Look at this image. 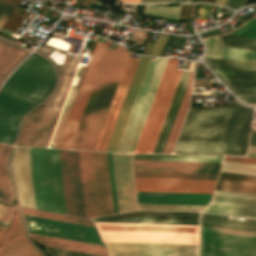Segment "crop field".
<instances>
[{
  "label": "crop field",
  "instance_id": "obj_43",
  "mask_svg": "<svg viewBox=\"0 0 256 256\" xmlns=\"http://www.w3.org/2000/svg\"><path fill=\"white\" fill-rule=\"evenodd\" d=\"M247 157L256 158V147L249 146ZM246 158V157H225L224 161L228 162H237V163H246V164H255L256 159Z\"/></svg>",
  "mask_w": 256,
  "mask_h": 256
},
{
  "label": "crop field",
  "instance_id": "obj_33",
  "mask_svg": "<svg viewBox=\"0 0 256 256\" xmlns=\"http://www.w3.org/2000/svg\"><path fill=\"white\" fill-rule=\"evenodd\" d=\"M29 242L0 246V256H38Z\"/></svg>",
  "mask_w": 256,
  "mask_h": 256
},
{
  "label": "crop field",
  "instance_id": "obj_9",
  "mask_svg": "<svg viewBox=\"0 0 256 256\" xmlns=\"http://www.w3.org/2000/svg\"><path fill=\"white\" fill-rule=\"evenodd\" d=\"M96 41L101 42L102 39L97 38ZM99 42H96L93 48L92 54L90 56L89 62L84 72L82 81L80 83L79 89L77 91L76 97L71 107L69 116L67 118V121L64 126L63 132L61 134L60 140L58 142L57 148H69L72 142L74 133L79 123L81 114L83 112L85 103L90 93L96 73L98 71L103 54L108 44V43L104 44Z\"/></svg>",
  "mask_w": 256,
  "mask_h": 256
},
{
  "label": "crop field",
  "instance_id": "obj_26",
  "mask_svg": "<svg viewBox=\"0 0 256 256\" xmlns=\"http://www.w3.org/2000/svg\"><path fill=\"white\" fill-rule=\"evenodd\" d=\"M32 238L48 247L107 256L105 247L30 233Z\"/></svg>",
  "mask_w": 256,
  "mask_h": 256
},
{
  "label": "crop field",
  "instance_id": "obj_4",
  "mask_svg": "<svg viewBox=\"0 0 256 256\" xmlns=\"http://www.w3.org/2000/svg\"><path fill=\"white\" fill-rule=\"evenodd\" d=\"M29 152L36 209L66 214L58 150Z\"/></svg>",
  "mask_w": 256,
  "mask_h": 256
},
{
  "label": "crop field",
  "instance_id": "obj_34",
  "mask_svg": "<svg viewBox=\"0 0 256 256\" xmlns=\"http://www.w3.org/2000/svg\"><path fill=\"white\" fill-rule=\"evenodd\" d=\"M25 241H27V239L24 236V232L19 221L18 213L17 211H15V214L8 227V230L0 245Z\"/></svg>",
  "mask_w": 256,
  "mask_h": 256
},
{
  "label": "crop field",
  "instance_id": "obj_42",
  "mask_svg": "<svg viewBox=\"0 0 256 256\" xmlns=\"http://www.w3.org/2000/svg\"><path fill=\"white\" fill-rule=\"evenodd\" d=\"M203 41L207 46L205 57L221 59L218 38L214 37Z\"/></svg>",
  "mask_w": 256,
  "mask_h": 256
},
{
  "label": "crop field",
  "instance_id": "obj_51",
  "mask_svg": "<svg viewBox=\"0 0 256 256\" xmlns=\"http://www.w3.org/2000/svg\"><path fill=\"white\" fill-rule=\"evenodd\" d=\"M170 0H140L139 3H165L168 4Z\"/></svg>",
  "mask_w": 256,
  "mask_h": 256
},
{
  "label": "crop field",
  "instance_id": "obj_30",
  "mask_svg": "<svg viewBox=\"0 0 256 256\" xmlns=\"http://www.w3.org/2000/svg\"><path fill=\"white\" fill-rule=\"evenodd\" d=\"M193 72H189L187 89L185 91L184 97L182 99L181 105L179 107L178 113L176 115L175 121L171 128L170 134L168 136L167 142L165 144L164 150L162 153H171L174 143L176 141L177 135L179 133L180 127L182 125L183 119L185 117L186 111L189 105L191 83H192Z\"/></svg>",
  "mask_w": 256,
  "mask_h": 256
},
{
  "label": "crop field",
  "instance_id": "obj_53",
  "mask_svg": "<svg viewBox=\"0 0 256 256\" xmlns=\"http://www.w3.org/2000/svg\"><path fill=\"white\" fill-rule=\"evenodd\" d=\"M249 144L256 145V133H252Z\"/></svg>",
  "mask_w": 256,
  "mask_h": 256
},
{
  "label": "crop field",
  "instance_id": "obj_49",
  "mask_svg": "<svg viewBox=\"0 0 256 256\" xmlns=\"http://www.w3.org/2000/svg\"><path fill=\"white\" fill-rule=\"evenodd\" d=\"M210 4H202L199 10V15L201 16L199 19H206L208 17L209 11L211 9Z\"/></svg>",
  "mask_w": 256,
  "mask_h": 256
},
{
  "label": "crop field",
  "instance_id": "obj_15",
  "mask_svg": "<svg viewBox=\"0 0 256 256\" xmlns=\"http://www.w3.org/2000/svg\"><path fill=\"white\" fill-rule=\"evenodd\" d=\"M216 181L135 178L136 191L211 194Z\"/></svg>",
  "mask_w": 256,
  "mask_h": 256
},
{
  "label": "crop field",
  "instance_id": "obj_10",
  "mask_svg": "<svg viewBox=\"0 0 256 256\" xmlns=\"http://www.w3.org/2000/svg\"><path fill=\"white\" fill-rule=\"evenodd\" d=\"M25 221L32 233L103 245L97 231L93 227L59 222L32 216H26Z\"/></svg>",
  "mask_w": 256,
  "mask_h": 256
},
{
  "label": "crop field",
  "instance_id": "obj_5",
  "mask_svg": "<svg viewBox=\"0 0 256 256\" xmlns=\"http://www.w3.org/2000/svg\"><path fill=\"white\" fill-rule=\"evenodd\" d=\"M95 224L104 241L198 244V226Z\"/></svg>",
  "mask_w": 256,
  "mask_h": 256
},
{
  "label": "crop field",
  "instance_id": "obj_58",
  "mask_svg": "<svg viewBox=\"0 0 256 256\" xmlns=\"http://www.w3.org/2000/svg\"><path fill=\"white\" fill-rule=\"evenodd\" d=\"M199 2H211V3H213L214 0H200Z\"/></svg>",
  "mask_w": 256,
  "mask_h": 256
},
{
  "label": "crop field",
  "instance_id": "obj_28",
  "mask_svg": "<svg viewBox=\"0 0 256 256\" xmlns=\"http://www.w3.org/2000/svg\"><path fill=\"white\" fill-rule=\"evenodd\" d=\"M226 85L256 86V71L209 67Z\"/></svg>",
  "mask_w": 256,
  "mask_h": 256
},
{
  "label": "crop field",
  "instance_id": "obj_56",
  "mask_svg": "<svg viewBox=\"0 0 256 256\" xmlns=\"http://www.w3.org/2000/svg\"><path fill=\"white\" fill-rule=\"evenodd\" d=\"M9 219H10V218H8V217L0 216V220H2V221L8 222Z\"/></svg>",
  "mask_w": 256,
  "mask_h": 256
},
{
  "label": "crop field",
  "instance_id": "obj_48",
  "mask_svg": "<svg viewBox=\"0 0 256 256\" xmlns=\"http://www.w3.org/2000/svg\"><path fill=\"white\" fill-rule=\"evenodd\" d=\"M246 0H228L225 7L236 10L245 4Z\"/></svg>",
  "mask_w": 256,
  "mask_h": 256
},
{
  "label": "crop field",
  "instance_id": "obj_41",
  "mask_svg": "<svg viewBox=\"0 0 256 256\" xmlns=\"http://www.w3.org/2000/svg\"><path fill=\"white\" fill-rule=\"evenodd\" d=\"M230 35L256 39V20H249L238 29L230 33Z\"/></svg>",
  "mask_w": 256,
  "mask_h": 256
},
{
  "label": "crop field",
  "instance_id": "obj_21",
  "mask_svg": "<svg viewBox=\"0 0 256 256\" xmlns=\"http://www.w3.org/2000/svg\"><path fill=\"white\" fill-rule=\"evenodd\" d=\"M94 222L112 223H147V224H181L198 225V216H171L145 214H118L93 219Z\"/></svg>",
  "mask_w": 256,
  "mask_h": 256
},
{
  "label": "crop field",
  "instance_id": "obj_32",
  "mask_svg": "<svg viewBox=\"0 0 256 256\" xmlns=\"http://www.w3.org/2000/svg\"><path fill=\"white\" fill-rule=\"evenodd\" d=\"M223 156H198V155H133V159L147 160H177V161H207L221 162Z\"/></svg>",
  "mask_w": 256,
  "mask_h": 256
},
{
  "label": "crop field",
  "instance_id": "obj_50",
  "mask_svg": "<svg viewBox=\"0 0 256 256\" xmlns=\"http://www.w3.org/2000/svg\"><path fill=\"white\" fill-rule=\"evenodd\" d=\"M13 208H9V207H5V206H1L0 205V215H4V216H8L10 217L12 212H13Z\"/></svg>",
  "mask_w": 256,
  "mask_h": 256
},
{
  "label": "crop field",
  "instance_id": "obj_60",
  "mask_svg": "<svg viewBox=\"0 0 256 256\" xmlns=\"http://www.w3.org/2000/svg\"><path fill=\"white\" fill-rule=\"evenodd\" d=\"M2 235L0 234V239H1Z\"/></svg>",
  "mask_w": 256,
  "mask_h": 256
},
{
  "label": "crop field",
  "instance_id": "obj_13",
  "mask_svg": "<svg viewBox=\"0 0 256 256\" xmlns=\"http://www.w3.org/2000/svg\"><path fill=\"white\" fill-rule=\"evenodd\" d=\"M104 243L109 256H198V245Z\"/></svg>",
  "mask_w": 256,
  "mask_h": 256
},
{
  "label": "crop field",
  "instance_id": "obj_6",
  "mask_svg": "<svg viewBox=\"0 0 256 256\" xmlns=\"http://www.w3.org/2000/svg\"><path fill=\"white\" fill-rule=\"evenodd\" d=\"M168 58L151 59L116 152L133 153Z\"/></svg>",
  "mask_w": 256,
  "mask_h": 256
},
{
  "label": "crop field",
  "instance_id": "obj_38",
  "mask_svg": "<svg viewBox=\"0 0 256 256\" xmlns=\"http://www.w3.org/2000/svg\"><path fill=\"white\" fill-rule=\"evenodd\" d=\"M223 59L256 62V52L221 47Z\"/></svg>",
  "mask_w": 256,
  "mask_h": 256
},
{
  "label": "crop field",
  "instance_id": "obj_27",
  "mask_svg": "<svg viewBox=\"0 0 256 256\" xmlns=\"http://www.w3.org/2000/svg\"><path fill=\"white\" fill-rule=\"evenodd\" d=\"M200 225L256 232V219L245 221L227 219V216L200 213Z\"/></svg>",
  "mask_w": 256,
  "mask_h": 256
},
{
  "label": "crop field",
  "instance_id": "obj_61",
  "mask_svg": "<svg viewBox=\"0 0 256 256\" xmlns=\"http://www.w3.org/2000/svg\"><path fill=\"white\" fill-rule=\"evenodd\" d=\"M254 19H256V17H254Z\"/></svg>",
  "mask_w": 256,
  "mask_h": 256
},
{
  "label": "crop field",
  "instance_id": "obj_45",
  "mask_svg": "<svg viewBox=\"0 0 256 256\" xmlns=\"http://www.w3.org/2000/svg\"><path fill=\"white\" fill-rule=\"evenodd\" d=\"M107 156H108L109 172H110L111 187H112V194H113L114 210H115V213H118L111 153H107Z\"/></svg>",
  "mask_w": 256,
  "mask_h": 256
},
{
  "label": "crop field",
  "instance_id": "obj_46",
  "mask_svg": "<svg viewBox=\"0 0 256 256\" xmlns=\"http://www.w3.org/2000/svg\"><path fill=\"white\" fill-rule=\"evenodd\" d=\"M168 35H163V34H159L156 41H155V44H154V47L152 49V52L150 55H156L158 56V54L160 53L162 47H163V44L166 40Z\"/></svg>",
  "mask_w": 256,
  "mask_h": 256
},
{
  "label": "crop field",
  "instance_id": "obj_39",
  "mask_svg": "<svg viewBox=\"0 0 256 256\" xmlns=\"http://www.w3.org/2000/svg\"><path fill=\"white\" fill-rule=\"evenodd\" d=\"M179 8H180V6L169 7V6L145 5L144 14L160 16V17L177 20Z\"/></svg>",
  "mask_w": 256,
  "mask_h": 256
},
{
  "label": "crop field",
  "instance_id": "obj_14",
  "mask_svg": "<svg viewBox=\"0 0 256 256\" xmlns=\"http://www.w3.org/2000/svg\"><path fill=\"white\" fill-rule=\"evenodd\" d=\"M10 174L19 204L35 208L28 148L15 147Z\"/></svg>",
  "mask_w": 256,
  "mask_h": 256
},
{
  "label": "crop field",
  "instance_id": "obj_31",
  "mask_svg": "<svg viewBox=\"0 0 256 256\" xmlns=\"http://www.w3.org/2000/svg\"><path fill=\"white\" fill-rule=\"evenodd\" d=\"M11 146L0 144V200L12 203L14 197L11 190L6 159Z\"/></svg>",
  "mask_w": 256,
  "mask_h": 256
},
{
  "label": "crop field",
  "instance_id": "obj_35",
  "mask_svg": "<svg viewBox=\"0 0 256 256\" xmlns=\"http://www.w3.org/2000/svg\"><path fill=\"white\" fill-rule=\"evenodd\" d=\"M135 177L216 180L218 175L134 172Z\"/></svg>",
  "mask_w": 256,
  "mask_h": 256
},
{
  "label": "crop field",
  "instance_id": "obj_25",
  "mask_svg": "<svg viewBox=\"0 0 256 256\" xmlns=\"http://www.w3.org/2000/svg\"><path fill=\"white\" fill-rule=\"evenodd\" d=\"M215 190L256 195V176L221 172Z\"/></svg>",
  "mask_w": 256,
  "mask_h": 256
},
{
  "label": "crop field",
  "instance_id": "obj_36",
  "mask_svg": "<svg viewBox=\"0 0 256 256\" xmlns=\"http://www.w3.org/2000/svg\"><path fill=\"white\" fill-rule=\"evenodd\" d=\"M23 213L26 214V215H32V216H37V217H43V218H48V219L60 220V221L71 222V223H76V224H82V225L95 227L93 222L91 220H88V219H82V218H76V217H70V216L40 212V211H37V210L27 209V208L23 209Z\"/></svg>",
  "mask_w": 256,
  "mask_h": 256
},
{
  "label": "crop field",
  "instance_id": "obj_3",
  "mask_svg": "<svg viewBox=\"0 0 256 256\" xmlns=\"http://www.w3.org/2000/svg\"><path fill=\"white\" fill-rule=\"evenodd\" d=\"M179 60L168 59L152 106L134 153H151L182 71ZM188 72L183 71L152 153H161L186 89Z\"/></svg>",
  "mask_w": 256,
  "mask_h": 256
},
{
  "label": "crop field",
  "instance_id": "obj_23",
  "mask_svg": "<svg viewBox=\"0 0 256 256\" xmlns=\"http://www.w3.org/2000/svg\"><path fill=\"white\" fill-rule=\"evenodd\" d=\"M85 213L87 218L98 216L90 152L78 151Z\"/></svg>",
  "mask_w": 256,
  "mask_h": 256
},
{
  "label": "crop field",
  "instance_id": "obj_54",
  "mask_svg": "<svg viewBox=\"0 0 256 256\" xmlns=\"http://www.w3.org/2000/svg\"><path fill=\"white\" fill-rule=\"evenodd\" d=\"M214 3H216V4H220V5H225V3H226V0H215V2Z\"/></svg>",
  "mask_w": 256,
  "mask_h": 256
},
{
  "label": "crop field",
  "instance_id": "obj_20",
  "mask_svg": "<svg viewBox=\"0 0 256 256\" xmlns=\"http://www.w3.org/2000/svg\"><path fill=\"white\" fill-rule=\"evenodd\" d=\"M151 57H141L111 140L106 151L115 152Z\"/></svg>",
  "mask_w": 256,
  "mask_h": 256
},
{
  "label": "crop field",
  "instance_id": "obj_11",
  "mask_svg": "<svg viewBox=\"0 0 256 256\" xmlns=\"http://www.w3.org/2000/svg\"><path fill=\"white\" fill-rule=\"evenodd\" d=\"M139 60L138 58H127L93 150H106Z\"/></svg>",
  "mask_w": 256,
  "mask_h": 256
},
{
  "label": "crop field",
  "instance_id": "obj_7",
  "mask_svg": "<svg viewBox=\"0 0 256 256\" xmlns=\"http://www.w3.org/2000/svg\"><path fill=\"white\" fill-rule=\"evenodd\" d=\"M200 256H256V233L200 226Z\"/></svg>",
  "mask_w": 256,
  "mask_h": 256
},
{
  "label": "crop field",
  "instance_id": "obj_52",
  "mask_svg": "<svg viewBox=\"0 0 256 256\" xmlns=\"http://www.w3.org/2000/svg\"><path fill=\"white\" fill-rule=\"evenodd\" d=\"M199 0H171L169 4H178V3H188V2H198Z\"/></svg>",
  "mask_w": 256,
  "mask_h": 256
},
{
  "label": "crop field",
  "instance_id": "obj_17",
  "mask_svg": "<svg viewBox=\"0 0 256 256\" xmlns=\"http://www.w3.org/2000/svg\"><path fill=\"white\" fill-rule=\"evenodd\" d=\"M202 211L256 218V196L215 191Z\"/></svg>",
  "mask_w": 256,
  "mask_h": 256
},
{
  "label": "crop field",
  "instance_id": "obj_8",
  "mask_svg": "<svg viewBox=\"0 0 256 256\" xmlns=\"http://www.w3.org/2000/svg\"><path fill=\"white\" fill-rule=\"evenodd\" d=\"M125 48V47H124ZM117 45L105 81L97 99L88 127L79 149L92 150L128 55V50Z\"/></svg>",
  "mask_w": 256,
  "mask_h": 256
},
{
  "label": "crop field",
  "instance_id": "obj_47",
  "mask_svg": "<svg viewBox=\"0 0 256 256\" xmlns=\"http://www.w3.org/2000/svg\"><path fill=\"white\" fill-rule=\"evenodd\" d=\"M243 103H256V94H236Z\"/></svg>",
  "mask_w": 256,
  "mask_h": 256
},
{
  "label": "crop field",
  "instance_id": "obj_12",
  "mask_svg": "<svg viewBox=\"0 0 256 256\" xmlns=\"http://www.w3.org/2000/svg\"><path fill=\"white\" fill-rule=\"evenodd\" d=\"M59 154L67 214L85 217L77 151Z\"/></svg>",
  "mask_w": 256,
  "mask_h": 256
},
{
  "label": "crop field",
  "instance_id": "obj_2",
  "mask_svg": "<svg viewBox=\"0 0 256 256\" xmlns=\"http://www.w3.org/2000/svg\"><path fill=\"white\" fill-rule=\"evenodd\" d=\"M56 84V74L44 58L32 54L0 91V142L12 144L24 113L46 98Z\"/></svg>",
  "mask_w": 256,
  "mask_h": 256
},
{
  "label": "crop field",
  "instance_id": "obj_44",
  "mask_svg": "<svg viewBox=\"0 0 256 256\" xmlns=\"http://www.w3.org/2000/svg\"><path fill=\"white\" fill-rule=\"evenodd\" d=\"M14 8L15 5L0 1V28Z\"/></svg>",
  "mask_w": 256,
  "mask_h": 256
},
{
  "label": "crop field",
  "instance_id": "obj_55",
  "mask_svg": "<svg viewBox=\"0 0 256 256\" xmlns=\"http://www.w3.org/2000/svg\"><path fill=\"white\" fill-rule=\"evenodd\" d=\"M120 2H131V3H138L139 0H118Z\"/></svg>",
  "mask_w": 256,
  "mask_h": 256
},
{
  "label": "crop field",
  "instance_id": "obj_18",
  "mask_svg": "<svg viewBox=\"0 0 256 256\" xmlns=\"http://www.w3.org/2000/svg\"><path fill=\"white\" fill-rule=\"evenodd\" d=\"M220 164L221 163L133 160V169L134 171L148 172L218 174Z\"/></svg>",
  "mask_w": 256,
  "mask_h": 256
},
{
  "label": "crop field",
  "instance_id": "obj_40",
  "mask_svg": "<svg viewBox=\"0 0 256 256\" xmlns=\"http://www.w3.org/2000/svg\"><path fill=\"white\" fill-rule=\"evenodd\" d=\"M203 206L138 204L139 209L200 211Z\"/></svg>",
  "mask_w": 256,
  "mask_h": 256
},
{
  "label": "crop field",
  "instance_id": "obj_19",
  "mask_svg": "<svg viewBox=\"0 0 256 256\" xmlns=\"http://www.w3.org/2000/svg\"><path fill=\"white\" fill-rule=\"evenodd\" d=\"M99 216L114 213L106 153L91 152Z\"/></svg>",
  "mask_w": 256,
  "mask_h": 256
},
{
  "label": "crop field",
  "instance_id": "obj_1",
  "mask_svg": "<svg viewBox=\"0 0 256 256\" xmlns=\"http://www.w3.org/2000/svg\"><path fill=\"white\" fill-rule=\"evenodd\" d=\"M253 109L191 108L174 153L244 155Z\"/></svg>",
  "mask_w": 256,
  "mask_h": 256
},
{
  "label": "crop field",
  "instance_id": "obj_29",
  "mask_svg": "<svg viewBox=\"0 0 256 256\" xmlns=\"http://www.w3.org/2000/svg\"><path fill=\"white\" fill-rule=\"evenodd\" d=\"M27 55L28 52L0 42V84Z\"/></svg>",
  "mask_w": 256,
  "mask_h": 256
},
{
  "label": "crop field",
  "instance_id": "obj_57",
  "mask_svg": "<svg viewBox=\"0 0 256 256\" xmlns=\"http://www.w3.org/2000/svg\"><path fill=\"white\" fill-rule=\"evenodd\" d=\"M224 163H227V164H236V165H245V166H254V165L237 164V163H228V162H224ZM254 167H256V166H254Z\"/></svg>",
  "mask_w": 256,
  "mask_h": 256
},
{
  "label": "crop field",
  "instance_id": "obj_37",
  "mask_svg": "<svg viewBox=\"0 0 256 256\" xmlns=\"http://www.w3.org/2000/svg\"><path fill=\"white\" fill-rule=\"evenodd\" d=\"M221 46L256 51V40L236 36H220Z\"/></svg>",
  "mask_w": 256,
  "mask_h": 256
},
{
  "label": "crop field",
  "instance_id": "obj_22",
  "mask_svg": "<svg viewBox=\"0 0 256 256\" xmlns=\"http://www.w3.org/2000/svg\"><path fill=\"white\" fill-rule=\"evenodd\" d=\"M113 53H114L113 49L107 48L106 53L103 58V61L101 63L100 69L98 71L96 80L94 82L93 88L91 90L90 96L88 98L86 107L84 109L83 115L81 117L79 126L77 128L76 134H75L73 142L71 144L70 148H72V149L79 148V145H80L82 137L84 135L86 126H87L89 118L91 116L93 107H94L96 99L98 97L100 88L102 86V83H103L104 77L106 75L107 69L109 67Z\"/></svg>",
  "mask_w": 256,
  "mask_h": 256
},
{
  "label": "crop field",
  "instance_id": "obj_16",
  "mask_svg": "<svg viewBox=\"0 0 256 256\" xmlns=\"http://www.w3.org/2000/svg\"><path fill=\"white\" fill-rule=\"evenodd\" d=\"M119 213L136 210L130 155L112 153Z\"/></svg>",
  "mask_w": 256,
  "mask_h": 256
},
{
  "label": "crop field",
  "instance_id": "obj_59",
  "mask_svg": "<svg viewBox=\"0 0 256 256\" xmlns=\"http://www.w3.org/2000/svg\"><path fill=\"white\" fill-rule=\"evenodd\" d=\"M6 228L0 227V233L3 234Z\"/></svg>",
  "mask_w": 256,
  "mask_h": 256
},
{
  "label": "crop field",
  "instance_id": "obj_24",
  "mask_svg": "<svg viewBox=\"0 0 256 256\" xmlns=\"http://www.w3.org/2000/svg\"><path fill=\"white\" fill-rule=\"evenodd\" d=\"M138 203L205 205L211 195L136 192Z\"/></svg>",
  "mask_w": 256,
  "mask_h": 256
}]
</instances>
